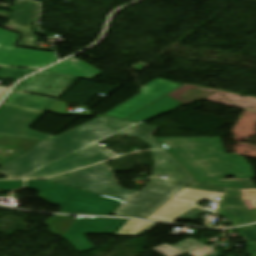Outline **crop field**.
<instances>
[{
	"label": "crop field",
	"mask_w": 256,
	"mask_h": 256,
	"mask_svg": "<svg viewBox=\"0 0 256 256\" xmlns=\"http://www.w3.org/2000/svg\"><path fill=\"white\" fill-rule=\"evenodd\" d=\"M216 196H224L218 204V211L222 216L232 220L233 226L254 222L243 205L238 190H221L196 185L182 189L148 218L170 222H174L175 219L197 220L200 214L214 211L195 204L201 199L214 200Z\"/></svg>",
	"instance_id": "4"
},
{
	"label": "crop field",
	"mask_w": 256,
	"mask_h": 256,
	"mask_svg": "<svg viewBox=\"0 0 256 256\" xmlns=\"http://www.w3.org/2000/svg\"><path fill=\"white\" fill-rule=\"evenodd\" d=\"M38 1H41V0H38Z\"/></svg>",
	"instance_id": "24"
},
{
	"label": "crop field",
	"mask_w": 256,
	"mask_h": 256,
	"mask_svg": "<svg viewBox=\"0 0 256 256\" xmlns=\"http://www.w3.org/2000/svg\"><path fill=\"white\" fill-rule=\"evenodd\" d=\"M38 8L39 3L18 1L8 22L31 31L37 17Z\"/></svg>",
	"instance_id": "13"
},
{
	"label": "crop field",
	"mask_w": 256,
	"mask_h": 256,
	"mask_svg": "<svg viewBox=\"0 0 256 256\" xmlns=\"http://www.w3.org/2000/svg\"><path fill=\"white\" fill-rule=\"evenodd\" d=\"M197 185H205V186H213V187H221V188H231V189L255 188L252 180H225V181L200 183Z\"/></svg>",
	"instance_id": "19"
},
{
	"label": "crop field",
	"mask_w": 256,
	"mask_h": 256,
	"mask_svg": "<svg viewBox=\"0 0 256 256\" xmlns=\"http://www.w3.org/2000/svg\"><path fill=\"white\" fill-rule=\"evenodd\" d=\"M45 180L94 191L124 200L135 193L119 187L109 166L104 163Z\"/></svg>",
	"instance_id": "6"
},
{
	"label": "crop field",
	"mask_w": 256,
	"mask_h": 256,
	"mask_svg": "<svg viewBox=\"0 0 256 256\" xmlns=\"http://www.w3.org/2000/svg\"><path fill=\"white\" fill-rule=\"evenodd\" d=\"M126 220L78 217L62 237L78 251L94 249L84 237L86 234H113Z\"/></svg>",
	"instance_id": "9"
},
{
	"label": "crop field",
	"mask_w": 256,
	"mask_h": 256,
	"mask_svg": "<svg viewBox=\"0 0 256 256\" xmlns=\"http://www.w3.org/2000/svg\"><path fill=\"white\" fill-rule=\"evenodd\" d=\"M249 244H246L248 253L245 255H256V225L240 228Z\"/></svg>",
	"instance_id": "20"
},
{
	"label": "crop field",
	"mask_w": 256,
	"mask_h": 256,
	"mask_svg": "<svg viewBox=\"0 0 256 256\" xmlns=\"http://www.w3.org/2000/svg\"><path fill=\"white\" fill-rule=\"evenodd\" d=\"M180 85L157 79L140 89V94L115 107L106 115L125 119L149 103L165 96ZM150 105V104H149Z\"/></svg>",
	"instance_id": "10"
},
{
	"label": "crop field",
	"mask_w": 256,
	"mask_h": 256,
	"mask_svg": "<svg viewBox=\"0 0 256 256\" xmlns=\"http://www.w3.org/2000/svg\"><path fill=\"white\" fill-rule=\"evenodd\" d=\"M18 34L0 29V65L42 68L54 61V53L14 48Z\"/></svg>",
	"instance_id": "8"
},
{
	"label": "crop field",
	"mask_w": 256,
	"mask_h": 256,
	"mask_svg": "<svg viewBox=\"0 0 256 256\" xmlns=\"http://www.w3.org/2000/svg\"><path fill=\"white\" fill-rule=\"evenodd\" d=\"M44 113L3 102L0 105V135L46 141L53 136L28 130Z\"/></svg>",
	"instance_id": "7"
},
{
	"label": "crop field",
	"mask_w": 256,
	"mask_h": 256,
	"mask_svg": "<svg viewBox=\"0 0 256 256\" xmlns=\"http://www.w3.org/2000/svg\"><path fill=\"white\" fill-rule=\"evenodd\" d=\"M76 219L65 216H55L46 223L51 228L52 233L62 237Z\"/></svg>",
	"instance_id": "17"
},
{
	"label": "crop field",
	"mask_w": 256,
	"mask_h": 256,
	"mask_svg": "<svg viewBox=\"0 0 256 256\" xmlns=\"http://www.w3.org/2000/svg\"><path fill=\"white\" fill-rule=\"evenodd\" d=\"M251 213H252L253 217L256 219V209L255 210H251Z\"/></svg>",
	"instance_id": "23"
},
{
	"label": "crop field",
	"mask_w": 256,
	"mask_h": 256,
	"mask_svg": "<svg viewBox=\"0 0 256 256\" xmlns=\"http://www.w3.org/2000/svg\"><path fill=\"white\" fill-rule=\"evenodd\" d=\"M195 178V183L225 176L253 179L244 158L224 152L219 138H156Z\"/></svg>",
	"instance_id": "2"
},
{
	"label": "crop field",
	"mask_w": 256,
	"mask_h": 256,
	"mask_svg": "<svg viewBox=\"0 0 256 256\" xmlns=\"http://www.w3.org/2000/svg\"><path fill=\"white\" fill-rule=\"evenodd\" d=\"M47 71L59 72L88 79H92L100 74V71L73 57L47 69Z\"/></svg>",
	"instance_id": "14"
},
{
	"label": "crop field",
	"mask_w": 256,
	"mask_h": 256,
	"mask_svg": "<svg viewBox=\"0 0 256 256\" xmlns=\"http://www.w3.org/2000/svg\"><path fill=\"white\" fill-rule=\"evenodd\" d=\"M166 96L151 103L150 105L146 106L145 108L141 109L137 113H135L132 116H130L129 118H127V120L143 123L147 120H150L159 115H162L164 113H167L171 110H174L176 108L183 106L182 104H180Z\"/></svg>",
	"instance_id": "12"
},
{
	"label": "crop field",
	"mask_w": 256,
	"mask_h": 256,
	"mask_svg": "<svg viewBox=\"0 0 256 256\" xmlns=\"http://www.w3.org/2000/svg\"><path fill=\"white\" fill-rule=\"evenodd\" d=\"M156 223L128 220L114 235L138 236L149 231Z\"/></svg>",
	"instance_id": "16"
},
{
	"label": "crop field",
	"mask_w": 256,
	"mask_h": 256,
	"mask_svg": "<svg viewBox=\"0 0 256 256\" xmlns=\"http://www.w3.org/2000/svg\"><path fill=\"white\" fill-rule=\"evenodd\" d=\"M4 29L10 30V31H14L17 32L19 34H22L19 42H18V47H25V48H34V49H38L37 48V37L35 35H33L30 32L9 26L7 24H3L1 26ZM47 51H51V50H47Z\"/></svg>",
	"instance_id": "18"
},
{
	"label": "crop field",
	"mask_w": 256,
	"mask_h": 256,
	"mask_svg": "<svg viewBox=\"0 0 256 256\" xmlns=\"http://www.w3.org/2000/svg\"><path fill=\"white\" fill-rule=\"evenodd\" d=\"M20 187L39 190L38 196L46 202L61 206L60 213L108 215L124 201L42 181H0V189L13 190Z\"/></svg>",
	"instance_id": "5"
},
{
	"label": "crop field",
	"mask_w": 256,
	"mask_h": 256,
	"mask_svg": "<svg viewBox=\"0 0 256 256\" xmlns=\"http://www.w3.org/2000/svg\"><path fill=\"white\" fill-rule=\"evenodd\" d=\"M38 69H18V68H1L0 69V78L17 80L22 76L36 71Z\"/></svg>",
	"instance_id": "21"
},
{
	"label": "crop field",
	"mask_w": 256,
	"mask_h": 256,
	"mask_svg": "<svg viewBox=\"0 0 256 256\" xmlns=\"http://www.w3.org/2000/svg\"><path fill=\"white\" fill-rule=\"evenodd\" d=\"M204 227H211V228H226L225 226H216V227H213V224H211V223H207Z\"/></svg>",
	"instance_id": "22"
},
{
	"label": "crop field",
	"mask_w": 256,
	"mask_h": 256,
	"mask_svg": "<svg viewBox=\"0 0 256 256\" xmlns=\"http://www.w3.org/2000/svg\"><path fill=\"white\" fill-rule=\"evenodd\" d=\"M5 101L13 102L26 107L47 110L56 100L24 93H10Z\"/></svg>",
	"instance_id": "15"
},
{
	"label": "crop field",
	"mask_w": 256,
	"mask_h": 256,
	"mask_svg": "<svg viewBox=\"0 0 256 256\" xmlns=\"http://www.w3.org/2000/svg\"><path fill=\"white\" fill-rule=\"evenodd\" d=\"M78 78L43 71L22 82L12 91L32 92L59 98Z\"/></svg>",
	"instance_id": "11"
},
{
	"label": "crop field",
	"mask_w": 256,
	"mask_h": 256,
	"mask_svg": "<svg viewBox=\"0 0 256 256\" xmlns=\"http://www.w3.org/2000/svg\"><path fill=\"white\" fill-rule=\"evenodd\" d=\"M139 124L101 116L80 127L41 141L35 148L0 167L8 179L44 178L114 158L94 143Z\"/></svg>",
	"instance_id": "1"
},
{
	"label": "crop field",
	"mask_w": 256,
	"mask_h": 256,
	"mask_svg": "<svg viewBox=\"0 0 256 256\" xmlns=\"http://www.w3.org/2000/svg\"><path fill=\"white\" fill-rule=\"evenodd\" d=\"M157 128L139 125L119 135L141 138L149 144L156 164L150 176H169L167 180L150 179L147 187L135 195L115 216L145 218L172 197L180 188L193 182L192 176L153 138ZM117 135V134H116Z\"/></svg>",
	"instance_id": "3"
}]
</instances>
